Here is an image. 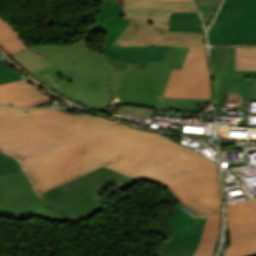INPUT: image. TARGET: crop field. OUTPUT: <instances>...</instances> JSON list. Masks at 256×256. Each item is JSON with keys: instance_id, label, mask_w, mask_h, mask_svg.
Returning a JSON list of instances; mask_svg holds the SVG:
<instances>
[{"instance_id": "obj_1", "label": "crop field", "mask_w": 256, "mask_h": 256, "mask_svg": "<svg viewBox=\"0 0 256 256\" xmlns=\"http://www.w3.org/2000/svg\"><path fill=\"white\" fill-rule=\"evenodd\" d=\"M102 166L165 185L199 215L222 209L218 163L160 135L122 126L45 158L25 171L40 194Z\"/></svg>"}, {"instance_id": "obj_2", "label": "crop field", "mask_w": 256, "mask_h": 256, "mask_svg": "<svg viewBox=\"0 0 256 256\" xmlns=\"http://www.w3.org/2000/svg\"><path fill=\"white\" fill-rule=\"evenodd\" d=\"M115 126L48 109L0 130V149L16 157L24 168Z\"/></svg>"}, {"instance_id": "obj_3", "label": "crop field", "mask_w": 256, "mask_h": 256, "mask_svg": "<svg viewBox=\"0 0 256 256\" xmlns=\"http://www.w3.org/2000/svg\"><path fill=\"white\" fill-rule=\"evenodd\" d=\"M84 40L82 49L45 58L50 67L31 72L51 89L89 108L107 106L111 93L107 79L112 68L106 56L92 51Z\"/></svg>"}, {"instance_id": "obj_4", "label": "crop field", "mask_w": 256, "mask_h": 256, "mask_svg": "<svg viewBox=\"0 0 256 256\" xmlns=\"http://www.w3.org/2000/svg\"><path fill=\"white\" fill-rule=\"evenodd\" d=\"M171 12H197L194 0H124L123 18L131 20L115 46H205L204 33L168 32Z\"/></svg>"}, {"instance_id": "obj_5", "label": "crop field", "mask_w": 256, "mask_h": 256, "mask_svg": "<svg viewBox=\"0 0 256 256\" xmlns=\"http://www.w3.org/2000/svg\"><path fill=\"white\" fill-rule=\"evenodd\" d=\"M189 48L171 47L163 62L150 61L145 70H114L110 81L123 104L196 111V102L161 101L171 68H181ZM170 105V106H169Z\"/></svg>"}, {"instance_id": "obj_6", "label": "crop field", "mask_w": 256, "mask_h": 256, "mask_svg": "<svg viewBox=\"0 0 256 256\" xmlns=\"http://www.w3.org/2000/svg\"><path fill=\"white\" fill-rule=\"evenodd\" d=\"M127 178L129 177L102 167L42 193L40 197L57 212L79 221L103 210L99 196L113 184Z\"/></svg>"}, {"instance_id": "obj_7", "label": "crop field", "mask_w": 256, "mask_h": 256, "mask_svg": "<svg viewBox=\"0 0 256 256\" xmlns=\"http://www.w3.org/2000/svg\"><path fill=\"white\" fill-rule=\"evenodd\" d=\"M163 97L211 99L204 47L191 48L182 69H172Z\"/></svg>"}, {"instance_id": "obj_8", "label": "crop field", "mask_w": 256, "mask_h": 256, "mask_svg": "<svg viewBox=\"0 0 256 256\" xmlns=\"http://www.w3.org/2000/svg\"><path fill=\"white\" fill-rule=\"evenodd\" d=\"M206 216L200 217L180 203L165 222L174 233L155 252V255L192 256L200 241Z\"/></svg>"}, {"instance_id": "obj_9", "label": "crop field", "mask_w": 256, "mask_h": 256, "mask_svg": "<svg viewBox=\"0 0 256 256\" xmlns=\"http://www.w3.org/2000/svg\"><path fill=\"white\" fill-rule=\"evenodd\" d=\"M0 201V218L24 221L36 217L61 223L71 221L47 207L33 189L0 192Z\"/></svg>"}, {"instance_id": "obj_10", "label": "crop field", "mask_w": 256, "mask_h": 256, "mask_svg": "<svg viewBox=\"0 0 256 256\" xmlns=\"http://www.w3.org/2000/svg\"><path fill=\"white\" fill-rule=\"evenodd\" d=\"M122 16H124L122 5H116L113 1L104 0L100 14L95 22L94 29L108 33V39L102 54L129 62L140 46H112L129 23V20L121 19Z\"/></svg>"}, {"instance_id": "obj_11", "label": "crop field", "mask_w": 256, "mask_h": 256, "mask_svg": "<svg viewBox=\"0 0 256 256\" xmlns=\"http://www.w3.org/2000/svg\"><path fill=\"white\" fill-rule=\"evenodd\" d=\"M208 37L212 45H256V23L214 22Z\"/></svg>"}, {"instance_id": "obj_12", "label": "crop field", "mask_w": 256, "mask_h": 256, "mask_svg": "<svg viewBox=\"0 0 256 256\" xmlns=\"http://www.w3.org/2000/svg\"><path fill=\"white\" fill-rule=\"evenodd\" d=\"M215 85L216 109L223 106L222 103L236 102L245 118L246 99H256V79L215 80Z\"/></svg>"}, {"instance_id": "obj_13", "label": "crop field", "mask_w": 256, "mask_h": 256, "mask_svg": "<svg viewBox=\"0 0 256 256\" xmlns=\"http://www.w3.org/2000/svg\"><path fill=\"white\" fill-rule=\"evenodd\" d=\"M50 101L25 79L0 85V103L21 106H38Z\"/></svg>"}, {"instance_id": "obj_14", "label": "crop field", "mask_w": 256, "mask_h": 256, "mask_svg": "<svg viewBox=\"0 0 256 256\" xmlns=\"http://www.w3.org/2000/svg\"><path fill=\"white\" fill-rule=\"evenodd\" d=\"M229 229V246L224 256H256V222Z\"/></svg>"}, {"instance_id": "obj_15", "label": "crop field", "mask_w": 256, "mask_h": 256, "mask_svg": "<svg viewBox=\"0 0 256 256\" xmlns=\"http://www.w3.org/2000/svg\"><path fill=\"white\" fill-rule=\"evenodd\" d=\"M33 188L18 161L0 151V191Z\"/></svg>"}, {"instance_id": "obj_16", "label": "crop field", "mask_w": 256, "mask_h": 256, "mask_svg": "<svg viewBox=\"0 0 256 256\" xmlns=\"http://www.w3.org/2000/svg\"><path fill=\"white\" fill-rule=\"evenodd\" d=\"M214 79L247 78L248 71H234L235 47L211 48Z\"/></svg>"}, {"instance_id": "obj_17", "label": "crop field", "mask_w": 256, "mask_h": 256, "mask_svg": "<svg viewBox=\"0 0 256 256\" xmlns=\"http://www.w3.org/2000/svg\"><path fill=\"white\" fill-rule=\"evenodd\" d=\"M215 21L256 22V0H225Z\"/></svg>"}, {"instance_id": "obj_18", "label": "crop field", "mask_w": 256, "mask_h": 256, "mask_svg": "<svg viewBox=\"0 0 256 256\" xmlns=\"http://www.w3.org/2000/svg\"><path fill=\"white\" fill-rule=\"evenodd\" d=\"M221 222V211L207 216L200 244L193 256H212L217 243Z\"/></svg>"}, {"instance_id": "obj_19", "label": "crop field", "mask_w": 256, "mask_h": 256, "mask_svg": "<svg viewBox=\"0 0 256 256\" xmlns=\"http://www.w3.org/2000/svg\"><path fill=\"white\" fill-rule=\"evenodd\" d=\"M228 226L256 221V201L227 205Z\"/></svg>"}, {"instance_id": "obj_20", "label": "crop field", "mask_w": 256, "mask_h": 256, "mask_svg": "<svg viewBox=\"0 0 256 256\" xmlns=\"http://www.w3.org/2000/svg\"><path fill=\"white\" fill-rule=\"evenodd\" d=\"M169 49L170 46L140 47L131 60V63L136 64L133 69H145L149 60L163 61Z\"/></svg>"}, {"instance_id": "obj_21", "label": "crop field", "mask_w": 256, "mask_h": 256, "mask_svg": "<svg viewBox=\"0 0 256 256\" xmlns=\"http://www.w3.org/2000/svg\"><path fill=\"white\" fill-rule=\"evenodd\" d=\"M169 31L202 32L197 13H171Z\"/></svg>"}, {"instance_id": "obj_22", "label": "crop field", "mask_w": 256, "mask_h": 256, "mask_svg": "<svg viewBox=\"0 0 256 256\" xmlns=\"http://www.w3.org/2000/svg\"><path fill=\"white\" fill-rule=\"evenodd\" d=\"M0 46L10 55L28 49L3 20L0 21Z\"/></svg>"}, {"instance_id": "obj_23", "label": "crop field", "mask_w": 256, "mask_h": 256, "mask_svg": "<svg viewBox=\"0 0 256 256\" xmlns=\"http://www.w3.org/2000/svg\"><path fill=\"white\" fill-rule=\"evenodd\" d=\"M46 109H17L0 106V129Z\"/></svg>"}, {"instance_id": "obj_24", "label": "crop field", "mask_w": 256, "mask_h": 256, "mask_svg": "<svg viewBox=\"0 0 256 256\" xmlns=\"http://www.w3.org/2000/svg\"><path fill=\"white\" fill-rule=\"evenodd\" d=\"M12 57L28 72L50 66L44 57L30 51L29 49L12 55Z\"/></svg>"}, {"instance_id": "obj_25", "label": "crop field", "mask_w": 256, "mask_h": 256, "mask_svg": "<svg viewBox=\"0 0 256 256\" xmlns=\"http://www.w3.org/2000/svg\"><path fill=\"white\" fill-rule=\"evenodd\" d=\"M235 70H256V47H236Z\"/></svg>"}, {"instance_id": "obj_26", "label": "crop field", "mask_w": 256, "mask_h": 256, "mask_svg": "<svg viewBox=\"0 0 256 256\" xmlns=\"http://www.w3.org/2000/svg\"><path fill=\"white\" fill-rule=\"evenodd\" d=\"M86 38H82L81 40L77 41L73 46H56V45H47V46H36L30 47L29 49L33 50L34 52L41 54L43 56L57 53V52H64V51H72L81 49L80 43Z\"/></svg>"}, {"instance_id": "obj_27", "label": "crop field", "mask_w": 256, "mask_h": 256, "mask_svg": "<svg viewBox=\"0 0 256 256\" xmlns=\"http://www.w3.org/2000/svg\"><path fill=\"white\" fill-rule=\"evenodd\" d=\"M205 19L209 24L221 0H198Z\"/></svg>"}, {"instance_id": "obj_28", "label": "crop field", "mask_w": 256, "mask_h": 256, "mask_svg": "<svg viewBox=\"0 0 256 256\" xmlns=\"http://www.w3.org/2000/svg\"><path fill=\"white\" fill-rule=\"evenodd\" d=\"M23 77L7 65L0 57V84L22 79Z\"/></svg>"}, {"instance_id": "obj_29", "label": "crop field", "mask_w": 256, "mask_h": 256, "mask_svg": "<svg viewBox=\"0 0 256 256\" xmlns=\"http://www.w3.org/2000/svg\"><path fill=\"white\" fill-rule=\"evenodd\" d=\"M123 115H131V116H140V117H148L151 118L152 110L151 108H144V107H135V106H128L123 105L122 107Z\"/></svg>"}, {"instance_id": "obj_30", "label": "crop field", "mask_w": 256, "mask_h": 256, "mask_svg": "<svg viewBox=\"0 0 256 256\" xmlns=\"http://www.w3.org/2000/svg\"><path fill=\"white\" fill-rule=\"evenodd\" d=\"M107 59L110 62V64L113 66V69H126L129 64L128 62L110 58V57H108Z\"/></svg>"}, {"instance_id": "obj_31", "label": "crop field", "mask_w": 256, "mask_h": 256, "mask_svg": "<svg viewBox=\"0 0 256 256\" xmlns=\"http://www.w3.org/2000/svg\"><path fill=\"white\" fill-rule=\"evenodd\" d=\"M136 181H138V180L129 178V179L123 181V182H120V183L114 185V186L117 187L118 189L122 190V189L128 187L129 185L133 184Z\"/></svg>"}, {"instance_id": "obj_32", "label": "crop field", "mask_w": 256, "mask_h": 256, "mask_svg": "<svg viewBox=\"0 0 256 256\" xmlns=\"http://www.w3.org/2000/svg\"><path fill=\"white\" fill-rule=\"evenodd\" d=\"M162 100H186V101H198V102H211V100H196V99H172V98H163Z\"/></svg>"}, {"instance_id": "obj_33", "label": "crop field", "mask_w": 256, "mask_h": 256, "mask_svg": "<svg viewBox=\"0 0 256 256\" xmlns=\"http://www.w3.org/2000/svg\"><path fill=\"white\" fill-rule=\"evenodd\" d=\"M248 78H256V71H249Z\"/></svg>"}, {"instance_id": "obj_34", "label": "crop field", "mask_w": 256, "mask_h": 256, "mask_svg": "<svg viewBox=\"0 0 256 256\" xmlns=\"http://www.w3.org/2000/svg\"><path fill=\"white\" fill-rule=\"evenodd\" d=\"M217 114H218V117H219V115H222V111L217 112Z\"/></svg>"}]
</instances>
